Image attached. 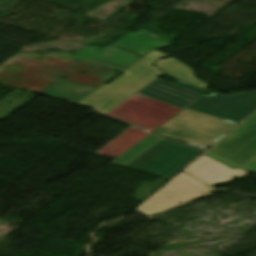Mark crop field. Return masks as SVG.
<instances>
[{
  "instance_id": "crop-field-10",
  "label": "crop field",
  "mask_w": 256,
  "mask_h": 256,
  "mask_svg": "<svg viewBox=\"0 0 256 256\" xmlns=\"http://www.w3.org/2000/svg\"><path fill=\"white\" fill-rule=\"evenodd\" d=\"M164 137H160L157 135H150L143 139L142 141L135 144L129 150H127L124 154H122L119 158H117L112 164H116L119 166L125 167L132 160L140 156L142 153L153 147L159 141H161Z\"/></svg>"
},
{
  "instance_id": "crop-field-11",
  "label": "crop field",
  "mask_w": 256,
  "mask_h": 256,
  "mask_svg": "<svg viewBox=\"0 0 256 256\" xmlns=\"http://www.w3.org/2000/svg\"><path fill=\"white\" fill-rule=\"evenodd\" d=\"M205 155H207V156H209V157H211V158H213V159H215V160H217V161H219V162H221V163H223V164H225V165H227V166H229L233 169H235L238 166V164H236V163H234V162H232V161H230L226 158H223V157H221V156H219V155H217V154H215L211 151H209Z\"/></svg>"
},
{
  "instance_id": "crop-field-8",
  "label": "crop field",
  "mask_w": 256,
  "mask_h": 256,
  "mask_svg": "<svg viewBox=\"0 0 256 256\" xmlns=\"http://www.w3.org/2000/svg\"><path fill=\"white\" fill-rule=\"evenodd\" d=\"M93 90L94 88L61 80L43 93H45L44 96L75 104Z\"/></svg>"
},
{
  "instance_id": "crop-field-5",
  "label": "crop field",
  "mask_w": 256,
  "mask_h": 256,
  "mask_svg": "<svg viewBox=\"0 0 256 256\" xmlns=\"http://www.w3.org/2000/svg\"><path fill=\"white\" fill-rule=\"evenodd\" d=\"M186 109L240 124L256 110V92L221 96H202Z\"/></svg>"
},
{
  "instance_id": "crop-field-6",
  "label": "crop field",
  "mask_w": 256,
  "mask_h": 256,
  "mask_svg": "<svg viewBox=\"0 0 256 256\" xmlns=\"http://www.w3.org/2000/svg\"><path fill=\"white\" fill-rule=\"evenodd\" d=\"M211 150L242 163L256 152V113Z\"/></svg>"
},
{
  "instance_id": "crop-field-2",
  "label": "crop field",
  "mask_w": 256,
  "mask_h": 256,
  "mask_svg": "<svg viewBox=\"0 0 256 256\" xmlns=\"http://www.w3.org/2000/svg\"><path fill=\"white\" fill-rule=\"evenodd\" d=\"M164 55L152 50L138 62L126 68L125 74L117 78L109 85H103L84 99L79 104L96 108L95 111L105 115L142 88L157 79L163 73L157 70L151 63Z\"/></svg>"
},
{
  "instance_id": "crop-field-3",
  "label": "crop field",
  "mask_w": 256,
  "mask_h": 256,
  "mask_svg": "<svg viewBox=\"0 0 256 256\" xmlns=\"http://www.w3.org/2000/svg\"><path fill=\"white\" fill-rule=\"evenodd\" d=\"M237 125L185 109L154 134L208 150Z\"/></svg>"
},
{
  "instance_id": "crop-field-12",
  "label": "crop field",
  "mask_w": 256,
  "mask_h": 256,
  "mask_svg": "<svg viewBox=\"0 0 256 256\" xmlns=\"http://www.w3.org/2000/svg\"><path fill=\"white\" fill-rule=\"evenodd\" d=\"M238 169L254 172L256 170V155H254L251 159H249L246 163H244Z\"/></svg>"
},
{
  "instance_id": "crop-field-4",
  "label": "crop field",
  "mask_w": 256,
  "mask_h": 256,
  "mask_svg": "<svg viewBox=\"0 0 256 256\" xmlns=\"http://www.w3.org/2000/svg\"><path fill=\"white\" fill-rule=\"evenodd\" d=\"M203 151L165 138L126 167L170 180Z\"/></svg>"
},
{
  "instance_id": "crop-field-13",
  "label": "crop field",
  "mask_w": 256,
  "mask_h": 256,
  "mask_svg": "<svg viewBox=\"0 0 256 256\" xmlns=\"http://www.w3.org/2000/svg\"><path fill=\"white\" fill-rule=\"evenodd\" d=\"M42 1H45V2H47V1H49V0H42Z\"/></svg>"
},
{
  "instance_id": "crop-field-1",
  "label": "crop field",
  "mask_w": 256,
  "mask_h": 256,
  "mask_svg": "<svg viewBox=\"0 0 256 256\" xmlns=\"http://www.w3.org/2000/svg\"><path fill=\"white\" fill-rule=\"evenodd\" d=\"M113 45L140 56L152 49L170 46L160 35L144 30L126 33ZM116 46L103 49L89 46L75 55L65 52L17 54L0 66V85L41 94L63 79L59 76H66L67 81L97 88L140 58Z\"/></svg>"
},
{
  "instance_id": "crop-field-7",
  "label": "crop field",
  "mask_w": 256,
  "mask_h": 256,
  "mask_svg": "<svg viewBox=\"0 0 256 256\" xmlns=\"http://www.w3.org/2000/svg\"><path fill=\"white\" fill-rule=\"evenodd\" d=\"M206 92L207 90L200 89L181 81L172 84L157 79L139 93L151 96L184 109Z\"/></svg>"
},
{
  "instance_id": "crop-field-9",
  "label": "crop field",
  "mask_w": 256,
  "mask_h": 256,
  "mask_svg": "<svg viewBox=\"0 0 256 256\" xmlns=\"http://www.w3.org/2000/svg\"><path fill=\"white\" fill-rule=\"evenodd\" d=\"M156 66L163 69L166 73L175 79L184 81L203 89H205L207 86L205 83L197 80V78L193 75L190 67L180 63L175 58L159 61L156 63Z\"/></svg>"
}]
</instances>
